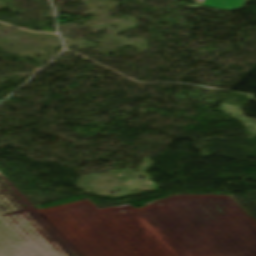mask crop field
<instances>
[{
    "label": "crop field",
    "mask_w": 256,
    "mask_h": 256,
    "mask_svg": "<svg viewBox=\"0 0 256 256\" xmlns=\"http://www.w3.org/2000/svg\"><path fill=\"white\" fill-rule=\"evenodd\" d=\"M0 256H66L1 188Z\"/></svg>",
    "instance_id": "crop-field-1"
},
{
    "label": "crop field",
    "mask_w": 256,
    "mask_h": 256,
    "mask_svg": "<svg viewBox=\"0 0 256 256\" xmlns=\"http://www.w3.org/2000/svg\"><path fill=\"white\" fill-rule=\"evenodd\" d=\"M201 5L218 10H235L243 4L249 2L247 0H196Z\"/></svg>",
    "instance_id": "crop-field-2"
}]
</instances>
